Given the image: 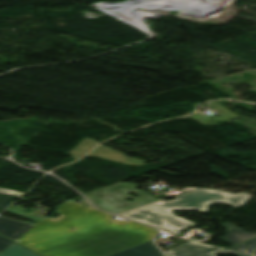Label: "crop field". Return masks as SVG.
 Listing matches in <instances>:
<instances>
[{
  "mask_svg": "<svg viewBox=\"0 0 256 256\" xmlns=\"http://www.w3.org/2000/svg\"><path fill=\"white\" fill-rule=\"evenodd\" d=\"M17 242L44 256H107L151 240L157 230L66 201ZM75 230H70V228Z\"/></svg>",
  "mask_w": 256,
  "mask_h": 256,
  "instance_id": "crop-field-1",
  "label": "crop field"
},
{
  "mask_svg": "<svg viewBox=\"0 0 256 256\" xmlns=\"http://www.w3.org/2000/svg\"><path fill=\"white\" fill-rule=\"evenodd\" d=\"M250 199L245 194H230L217 190L198 189L175 197L173 201H162L122 216L154 226L156 228L179 235L182 229L194 223L171 214V209L197 210L207 212L206 206L214 202H224L232 206H240Z\"/></svg>",
  "mask_w": 256,
  "mask_h": 256,
  "instance_id": "crop-field-2",
  "label": "crop field"
},
{
  "mask_svg": "<svg viewBox=\"0 0 256 256\" xmlns=\"http://www.w3.org/2000/svg\"><path fill=\"white\" fill-rule=\"evenodd\" d=\"M224 248H219L210 245H204L197 242H190L181 246L175 247L166 253L169 256H207Z\"/></svg>",
  "mask_w": 256,
  "mask_h": 256,
  "instance_id": "crop-field-3",
  "label": "crop field"
},
{
  "mask_svg": "<svg viewBox=\"0 0 256 256\" xmlns=\"http://www.w3.org/2000/svg\"><path fill=\"white\" fill-rule=\"evenodd\" d=\"M34 225L0 216V234L16 241Z\"/></svg>",
  "mask_w": 256,
  "mask_h": 256,
  "instance_id": "crop-field-4",
  "label": "crop field"
},
{
  "mask_svg": "<svg viewBox=\"0 0 256 256\" xmlns=\"http://www.w3.org/2000/svg\"><path fill=\"white\" fill-rule=\"evenodd\" d=\"M87 156H96L107 160L122 162L128 165H144V161L126 157L122 153L106 148L102 145L98 146Z\"/></svg>",
  "mask_w": 256,
  "mask_h": 256,
  "instance_id": "crop-field-5",
  "label": "crop field"
},
{
  "mask_svg": "<svg viewBox=\"0 0 256 256\" xmlns=\"http://www.w3.org/2000/svg\"><path fill=\"white\" fill-rule=\"evenodd\" d=\"M222 226L228 229V234L227 236L218 238V240L223 241L229 245H234L242 241L256 237V233H249L234 226L231 223H225Z\"/></svg>",
  "mask_w": 256,
  "mask_h": 256,
  "instance_id": "crop-field-6",
  "label": "crop field"
},
{
  "mask_svg": "<svg viewBox=\"0 0 256 256\" xmlns=\"http://www.w3.org/2000/svg\"><path fill=\"white\" fill-rule=\"evenodd\" d=\"M111 256H163L150 241Z\"/></svg>",
  "mask_w": 256,
  "mask_h": 256,
  "instance_id": "crop-field-7",
  "label": "crop field"
},
{
  "mask_svg": "<svg viewBox=\"0 0 256 256\" xmlns=\"http://www.w3.org/2000/svg\"><path fill=\"white\" fill-rule=\"evenodd\" d=\"M222 253H231L237 256H256V238L218 254Z\"/></svg>",
  "mask_w": 256,
  "mask_h": 256,
  "instance_id": "crop-field-8",
  "label": "crop field"
},
{
  "mask_svg": "<svg viewBox=\"0 0 256 256\" xmlns=\"http://www.w3.org/2000/svg\"><path fill=\"white\" fill-rule=\"evenodd\" d=\"M0 256H39V255L33 253L32 251L14 242L3 253H1Z\"/></svg>",
  "mask_w": 256,
  "mask_h": 256,
  "instance_id": "crop-field-9",
  "label": "crop field"
},
{
  "mask_svg": "<svg viewBox=\"0 0 256 256\" xmlns=\"http://www.w3.org/2000/svg\"><path fill=\"white\" fill-rule=\"evenodd\" d=\"M98 142H95L89 138L84 139V141L77 146L74 150H72L69 154L74 158L78 159L91 150Z\"/></svg>",
  "mask_w": 256,
  "mask_h": 256,
  "instance_id": "crop-field-10",
  "label": "crop field"
},
{
  "mask_svg": "<svg viewBox=\"0 0 256 256\" xmlns=\"http://www.w3.org/2000/svg\"><path fill=\"white\" fill-rule=\"evenodd\" d=\"M18 196L7 190L0 189V212L11 204Z\"/></svg>",
  "mask_w": 256,
  "mask_h": 256,
  "instance_id": "crop-field-11",
  "label": "crop field"
},
{
  "mask_svg": "<svg viewBox=\"0 0 256 256\" xmlns=\"http://www.w3.org/2000/svg\"><path fill=\"white\" fill-rule=\"evenodd\" d=\"M12 243H13V241H9V240L0 236V253L3 252Z\"/></svg>",
  "mask_w": 256,
  "mask_h": 256,
  "instance_id": "crop-field-12",
  "label": "crop field"
},
{
  "mask_svg": "<svg viewBox=\"0 0 256 256\" xmlns=\"http://www.w3.org/2000/svg\"><path fill=\"white\" fill-rule=\"evenodd\" d=\"M11 191V190H10ZM11 192H13L14 194H16V195H18V196H20V195H22L23 193H20V192H15V191H11Z\"/></svg>",
  "mask_w": 256,
  "mask_h": 256,
  "instance_id": "crop-field-13",
  "label": "crop field"
},
{
  "mask_svg": "<svg viewBox=\"0 0 256 256\" xmlns=\"http://www.w3.org/2000/svg\"><path fill=\"white\" fill-rule=\"evenodd\" d=\"M210 256H216L215 254H212V255H210Z\"/></svg>",
  "mask_w": 256,
  "mask_h": 256,
  "instance_id": "crop-field-14",
  "label": "crop field"
}]
</instances>
